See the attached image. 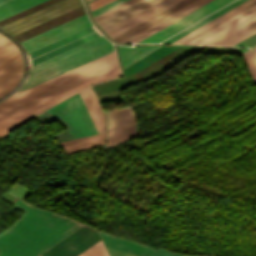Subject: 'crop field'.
Segmentation results:
<instances>
[{
    "label": "crop field",
    "mask_w": 256,
    "mask_h": 256,
    "mask_svg": "<svg viewBox=\"0 0 256 256\" xmlns=\"http://www.w3.org/2000/svg\"><path fill=\"white\" fill-rule=\"evenodd\" d=\"M28 213L0 236V256H37L82 224L17 200Z\"/></svg>",
    "instance_id": "1"
},
{
    "label": "crop field",
    "mask_w": 256,
    "mask_h": 256,
    "mask_svg": "<svg viewBox=\"0 0 256 256\" xmlns=\"http://www.w3.org/2000/svg\"><path fill=\"white\" fill-rule=\"evenodd\" d=\"M114 51L8 97L0 103V119L117 68Z\"/></svg>",
    "instance_id": "2"
},
{
    "label": "crop field",
    "mask_w": 256,
    "mask_h": 256,
    "mask_svg": "<svg viewBox=\"0 0 256 256\" xmlns=\"http://www.w3.org/2000/svg\"><path fill=\"white\" fill-rule=\"evenodd\" d=\"M113 50L114 49L111 43L101 36L50 59L35 64L30 67L25 82L17 92L100 57Z\"/></svg>",
    "instance_id": "3"
},
{
    "label": "crop field",
    "mask_w": 256,
    "mask_h": 256,
    "mask_svg": "<svg viewBox=\"0 0 256 256\" xmlns=\"http://www.w3.org/2000/svg\"><path fill=\"white\" fill-rule=\"evenodd\" d=\"M256 5L188 44L233 46L256 32ZM254 25V26H253Z\"/></svg>",
    "instance_id": "4"
},
{
    "label": "crop field",
    "mask_w": 256,
    "mask_h": 256,
    "mask_svg": "<svg viewBox=\"0 0 256 256\" xmlns=\"http://www.w3.org/2000/svg\"><path fill=\"white\" fill-rule=\"evenodd\" d=\"M73 138L98 133L79 94L46 110Z\"/></svg>",
    "instance_id": "5"
},
{
    "label": "crop field",
    "mask_w": 256,
    "mask_h": 256,
    "mask_svg": "<svg viewBox=\"0 0 256 256\" xmlns=\"http://www.w3.org/2000/svg\"><path fill=\"white\" fill-rule=\"evenodd\" d=\"M119 75H120L119 69L117 68L111 72H108L104 75H101V76L95 78V79H92L88 82H85V83L79 85V86H76L72 89H69V90L63 92V93H60V94L53 96L47 100H44V101L37 103L31 107H28V108L21 110L15 114H12L8 117L1 119L0 120V138L3 137L4 135H6L7 131L21 125L22 123L29 120L33 116L39 114L40 112L44 111L45 109H47L49 107L55 105L56 103L68 98L69 96L79 92L80 90H82L92 84L118 77Z\"/></svg>",
    "instance_id": "6"
},
{
    "label": "crop field",
    "mask_w": 256,
    "mask_h": 256,
    "mask_svg": "<svg viewBox=\"0 0 256 256\" xmlns=\"http://www.w3.org/2000/svg\"><path fill=\"white\" fill-rule=\"evenodd\" d=\"M81 5L80 0H61L11 23H8L2 26V28L14 36Z\"/></svg>",
    "instance_id": "7"
},
{
    "label": "crop field",
    "mask_w": 256,
    "mask_h": 256,
    "mask_svg": "<svg viewBox=\"0 0 256 256\" xmlns=\"http://www.w3.org/2000/svg\"><path fill=\"white\" fill-rule=\"evenodd\" d=\"M101 36V34L93 27H89L57 42L40 48L28 54L30 66L42 60L50 58L82 43L90 41L94 38Z\"/></svg>",
    "instance_id": "8"
},
{
    "label": "crop field",
    "mask_w": 256,
    "mask_h": 256,
    "mask_svg": "<svg viewBox=\"0 0 256 256\" xmlns=\"http://www.w3.org/2000/svg\"><path fill=\"white\" fill-rule=\"evenodd\" d=\"M89 26H91V23L89 22L87 15L85 14L65 24H62L35 37L25 40L20 44L24 47L27 53H29L33 50H36L40 47L57 41L63 37H66Z\"/></svg>",
    "instance_id": "9"
},
{
    "label": "crop field",
    "mask_w": 256,
    "mask_h": 256,
    "mask_svg": "<svg viewBox=\"0 0 256 256\" xmlns=\"http://www.w3.org/2000/svg\"><path fill=\"white\" fill-rule=\"evenodd\" d=\"M232 0H212L137 43L160 42Z\"/></svg>",
    "instance_id": "10"
},
{
    "label": "crop field",
    "mask_w": 256,
    "mask_h": 256,
    "mask_svg": "<svg viewBox=\"0 0 256 256\" xmlns=\"http://www.w3.org/2000/svg\"><path fill=\"white\" fill-rule=\"evenodd\" d=\"M21 72L22 61L18 50L0 57V96L14 88Z\"/></svg>",
    "instance_id": "11"
},
{
    "label": "crop field",
    "mask_w": 256,
    "mask_h": 256,
    "mask_svg": "<svg viewBox=\"0 0 256 256\" xmlns=\"http://www.w3.org/2000/svg\"><path fill=\"white\" fill-rule=\"evenodd\" d=\"M178 1L180 0H162L104 31L112 38Z\"/></svg>",
    "instance_id": "12"
},
{
    "label": "crop field",
    "mask_w": 256,
    "mask_h": 256,
    "mask_svg": "<svg viewBox=\"0 0 256 256\" xmlns=\"http://www.w3.org/2000/svg\"><path fill=\"white\" fill-rule=\"evenodd\" d=\"M210 0H196L193 3L187 5L186 7L178 10L177 12L171 14L170 16L162 19L161 21L155 23L154 25L146 28L145 30L137 33L136 35L130 37L129 39L123 41V42H137L141 39H143L144 37L152 34L153 32L159 30L160 28L168 25L169 23L175 21L176 19L184 16L185 14L191 12L192 10L200 7L201 5L207 3Z\"/></svg>",
    "instance_id": "13"
},
{
    "label": "crop field",
    "mask_w": 256,
    "mask_h": 256,
    "mask_svg": "<svg viewBox=\"0 0 256 256\" xmlns=\"http://www.w3.org/2000/svg\"><path fill=\"white\" fill-rule=\"evenodd\" d=\"M98 132H104L106 131V126H105V119H104V114L102 111V108L94 94V92L90 89L87 88L81 92H79Z\"/></svg>",
    "instance_id": "14"
},
{
    "label": "crop field",
    "mask_w": 256,
    "mask_h": 256,
    "mask_svg": "<svg viewBox=\"0 0 256 256\" xmlns=\"http://www.w3.org/2000/svg\"><path fill=\"white\" fill-rule=\"evenodd\" d=\"M193 1L194 0H181L180 2L172 5L171 7L161 11L160 13L152 16L151 18L141 22L140 24L132 27L131 29L121 33L120 35L112 39L121 42Z\"/></svg>",
    "instance_id": "15"
},
{
    "label": "crop field",
    "mask_w": 256,
    "mask_h": 256,
    "mask_svg": "<svg viewBox=\"0 0 256 256\" xmlns=\"http://www.w3.org/2000/svg\"><path fill=\"white\" fill-rule=\"evenodd\" d=\"M160 0H141L99 22H97V24L104 30L124 19H126L127 17L149 7L150 5L158 2Z\"/></svg>",
    "instance_id": "16"
},
{
    "label": "crop field",
    "mask_w": 256,
    "mask_h": 256,
    "mask_svg": "<svg viewBox=\"0 0 256 256\" xmlns=\"http://www.w3.org/2000/svg\"><path fill=\"white\" fill-rule=\"evenodd\" d=\"M100 236L104 245L107 247L129 251L140 256H149L154 251L149 247L118 239L103 233H100Z\"/></svg>",
    "instance_id": "17"
},
{
    "label": "crop field",
    "mask_w": 256,
    "mask_h": 256,
    "mask_svg": "<svg viewBox=\"0 0 256 256\" xmlns=\"http://www.w3.org/2000/svg\"><path fill=\"white\" fill-rule=\"evenodd\" d=\"M105 135L106 133L85 137V138H80V139H75V140H70L66 142H61L60 144L66 149L68 154H70V153L78 152L88 148L103 145L105 141Z\"/></svg>",
    "instance_id": "18"
},
{
    "label": "crop field",
    "mask_w": 256,
    "mask_h": 256,
    "mask_svg": "<svg viewBox=\"0 0 256 256\" xmlns=\"http://www.w3.org/2000/svg\"><path fill=\"white\" fill-rule=\"evenodd\" d=\"M104 113L106 115L108 129L136 122L131 106Z\"/></svg>",
    "instance_id": "19"
},
{
    "label": "crop field",
    "mask_w": 256,
    "mask_h": 256,
    "mask_svg": "<svg viewBox=\"0 0 256 256\" xmlns=\"http://www.w3.org/2000/svg\"><path fill=\"white\" fill-rule=\"evenodd\" d=\"M159 46H135V47H123L118 45L119 56L122 64V68L127 67L131 63L140 59L144 55L153 51Z\"/></svg>",
    "instance_id": "20"
},
{
    "label": "crop field",
    "mask_w": 256,
    "mask_h": 256,
    "mask_svg": "<svg viewBox=\"0 0 256 256\" xmlns=\"http://www.w3.org/2000/svg\"><path fill=\"white\" fill-rule=\"evenodd\" d=\"M244 1H246V0H236V1L228 4L227 6L221 8L220 10L214 12L213 14L207 16L206 18L198 21L197 23H195V24L191 25L190 27L184 29L183 31L177 33L176 35L168 38L167 40L163 41L162 43H171V42L177 40L178 38L186 35L187 33L193 31L194 29H196V28L200 27L201 25L209 22L210 20H212V19L216 18L217 16L225 13L226 11L232 9L233 7L239 5L240 3L244 2Z\"/></svg>",
    "instance_id": "21"
},
{
    "label": "crop field",
    "mask_w": 256,
    "mask_h": 256,
    "mask_svg": "<svg viewBox=\"0 0 256 256\" xmlns=\"http://www.w3.org/2000/svg\"><path fill=\"white\" fill-rule=\"evenodd\" d=\"M135 137L134 124L108 130L107 147L115 146ZM106 147V148H107Z\"/></svg>",
    "instance_id": "22"
},
{
    "label": "crop field",
    "mask_w": 256,
    "mask_h": 256,
    "mask_svg": "<svg viewBox=\"0 0 256 256\" xmlns=\"http://www.w3.org/2000/svg\"><path fill=\"white\" fill-rule=\"evenodd\" d=\"M45 0H11L0 5V20Z\"/></svg>",
    "instance_id": "23"
},
{
    "label": "crop field",
    "mask_w": 256,
    "mask_h": 256,
    "mask_svg": "<svg viewBox=\"0 0 256 256\" xmlns=\"http://www.w3.org/2000/svg\"><path fill=\"white\" fill-rule=\"evenodd\" d=\"M253 1H255V0H248V1H246V2H244V3H242V4H240L239 6L233 8L232 10H230V11L226 12L225 14H223V15L217 17L216 19H214V20L210 21L209 23H207V24L201 26L200 28L194 30L193 32L187 34L186 36H184V37L178 39L177 41H175V42H173V43H180V42L186 40L187 38H189V37L195 35L196 33L202 31L203 29L209 27L210 25H212V24L216 23L217 21H219V20L225 18L226 16L232 14L233 12L239 10L240 8L246 6L247 4H249V3L253 2Z\"/></svg>",
    "instance_id": "24"
},
{
    "label": "crop field",
    "mask_w": 256,
    "mask_h": 256,
    "mask_svg": "<svg viewBox=\"0 0 256 256\" xmlns=\"http://www.w3.org/2000/svg\"><path fill=\"white\" fill-rule=\"evenodd\" d=\"M78 256H108L101 240Z\"/></svg>",
    "instance_id": "25"
},
{
    "label": "crop field",
    "mask_w": 256,
    "mask_h": 256,
    "mask_svg": "<svg viewBox=\"0 0 256 256\" xmlns=\"http://www.w3.org/2000/svg\"><path fill=\"white\" fill-rule=\"evenodd\" d=\"M243 56L249 66V69H250L255 81H256V47L243 53Z\"/></svg>",
    "instance_id": "26"
},
{
    "label": "crop field",
    "mask_w": 256,
    "mask_h": 256,
    "mask_svg": "<svg viewBox=\"0 0 256 256\" xmlns=\"http://www.w3.org/2000/svg\"><path fill=\"white\" fill-rule=\"evenodd\" d=\"M255 4H256V1H255V2H253V3H251V4H249V5H247L246 7L242 8V9H240L239 11H237V12L233 13L232 15H230V16H228V17H226L225 19H223V20H221V21L217 22L216 24H214V25L210 26L209 28H207V29L203 30L202 32H200V33L196 34L195 36H193V37H191V38L187 39L186 41L182 42V44H186V43L190 42L191 40H193V39L197 38L198 36H200V35L204 34L205 32H207V31L211 30L212 28H214V27H216V26L220 25L221 23H223V22L227 21L228 19H230V18L234 17L235 15H237V14L241 13L242 11H244V10L248 9L249 7H251V6L255 5Z\"/></svg>",
    "instance_id": "27"
},
{
    "label": "crop field",
    "mask_w": 256,
    "mask_h": 256,
    "mask_svg": "<svg viewBox=\"0 0 256 256\" xmlns=\"http://www.w3.org/2000/svg\"><path fill=\"white\" fill-rule=\"evenodd\" d=\"M137 1H139V0H128V1L118 5L116 7H114L112 9H110V10H108V11H106V12H104V13L96 16V17H94V19L97 22V21H99V20H101V19H103V18H105V17H107V16H109V15H111V14H113V13H115V12H117V11H119V10H121V9H123V8L133 4V3H135V2H137Z\"/></svg>",
    "instance_id": "28"
},
{
    "label": "crop field",
    "mask_w": 256,
    "mask_h": 256,
    "mask_svg": "<svg viewBox=\"0 0 256 256\" xmlns=\"http://www.w3.org/2000/svg\"><path fill=\"white\" fill-rule=\"evenodd\" d=\"M124 1H126V0H114V1L104 5L102 7L92 11L91 13H92V15L94 17V16H96V15H98V14H100V13H102V12H104V11H106V10H108V9H110V8H112V7L116 6V5L124 2Z\"/></svg>",
    "instance_id": "29"
},
{
    "label": "crop field",
    "mask_w": 256,
    "mask_h": 256,
    "mask_svg": "<svg viewBox=\"0 0 256 256\" xmlns=\"http://www.w3.org/2000/svg\"><path fill=\"white\" fill-rule=\"evenodd\" d=\"M176 255H179V254L168 252V251H166V250H164L162 248H159L158 250H156L150 256H176Z\"/></svg>",
    "instance_id": "30"
},
{
    "label": "crop field",
    "mask_w": 256,
    "mask_h": 256,
    "mask_svg": "<svg viewBox=\"0 0 256 256\" xmlns=\"http://www.w3.org/2000/svg\"><path fill=\"white\" fill-rule=\"evenodd\" d=\"M110 1H112V0H96V1L89 3L88 5H89L90 10L92 11Z\"/></svg>",
    "instance_id": "31"
},
{
    "label": "crop field",
    "mask_w": 256,
    "mask_h": 256,
    "mask_svg": "<svg viewBox=\"0 0 256 256\" xmlns=\"http://www.w3.org/2000/svg\"><path fill=\"white\" fill-rule=\"evenodd\" d=\"M14 50H16V47H15L13 44H11V45H9V46H6V47H4V48H1V49H0V56H1V55H4V54H6V53H9V52H11V51H14Z\"/></svg>",
    "instance_id": "32"
},
{
    "label": "crop field",
    "mask_w": 256,
    "mask_h": 256,
    "mask_svg": "<svg viewBox=\"0 0 256 256\" xmlns=\"http://www.w3.org/2000/svg\"><path fill=\"white\" fill-rule=\"evenodd\" d=\"M9 44H11V42L7 38H5L3 35L0 34V48Z\"/></svg>",
    "instance_id": "33"
},
{
    "label": "crop field",
    "mask_w": 256,
    "mask_h": 256,
    "mask_svg": "<svg viewBox=\"0 0 256 256\" xmlns=\"http://www.w3.org/2000/svg\"><path fill=\"white\" fill-rule=\"evenodd\" d=\"M5 1H7V0H0V4L3 3V2H5Z\"/></svg>",
    "instance_id": "34"
},
{
    "label": "crop field",
    "mask_w": 256,
    "mask_h": 256,
    "mask_svg": "<svg viewBox=\"0 0 256 256\" xmlns=\"http://www.w3.org/2000/svg\"><path fill=\"white\" fill-rule=\"evenodd\" d=\"M180 256H192V255H180Z\"/></svg>",
    "instance_id": "35"
},
{
    "label": "crop field",
    "mask_w": 256,
    "mask_h": 256,
    "mask_svg": "<svg viewBox=\"0 0 256 256\" xmlns=\"http://www.w3.org/2000/svg\"><path fill=\"white\" fill-rule=\"evenodd\" d=\"M40 256V255H39Z\"/></svg>",
    "instance_id": "36"
},
{
    "label": "crop field",
    "mask_w": 256,
    "mask_h": 256,
    "mask_svg": "<svg viewBox=\"0 0 256 256\" xmlns=\"http://www.w3.org/2000/svg\"><path fill=\"white\" fill-rule=\"evenodd\" d=\"M133 256V255H132Z\"/></svg>",
    "instance_id": "37"
}]
</instances>
